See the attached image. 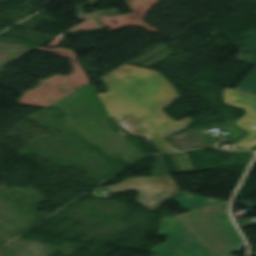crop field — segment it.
I'll return each mask as SVG.
<instances>
[{"label": "crop field", "instance_id": "5142ce71", "mask_svg": "<svg viewBox=\"0 0 256 256\" xmlns=\"http://www.w3.org/2000/svg\"><path fill=\"white\" fill-rule=\"evenodd\" d=\"M230 256H233V255H230Z\"/></svg>", "mask_w": 256, "mask_h": 256}, {"label": "crop field", "instance_id": "22f410ed", "mask_svg": "<svg viewBox=\"0 0 256 256\" xmlns=\"http://www.w3.org/2000/svg\"><path fill=\"white\" fill-rule=\"evenodd\" d=\"M224 94V98H225V102H226V104L228 103V101H227V94H225V93H223Z\"/></svg>", "mask_w": 256, "mask_h": 256}, {"label": "crop field", "instance_id": "cbeb9de0", "mask_svg": "<svg viewBox=\"0 0 256 256\" xmlns=\"http://www.w3.org/2000/svg\"><path fill=\"white\" fill-rule=\"evenodd\" d=\"M99 0H95V3L98 2Z\"/></svg>", "mask_w": 256, "mask_h": 256}, {"label": "crop field", "instance_id": "34b2d1b8", "mask_svg": "<svg viewBox=\"0 0 256 256\" xmlns=\"http://www.w3.org/2000/svg\"><path fill=\"white\" fill-rule=\"evenodd\" d=\"M102 188L112 193L137 189L140 194L138 202L153 212L181 193L171 175L132 178L118 185Z\"/></svg>", "mask_w": 256, "mask_h": 256}, {"label": "crop field", "instance_id": "3316defc", "mask_svg": "<svg viewBox=\"0 0 256 256\" xmlns=\"http://www.w3.org/2000/svg\"><path fill=\"white\" fill-rule=\"evenodd\" d=\"M145 71H150V70L124 64L105 76L107 77V79H110V78H115V77H120V76H125V75L145 72Z\"/></svg>", "mask_w": 256, "mask_h": 256}, {"label": "crop field", "instance_id": "d1516ede", "mask_svg": "<svg viewBox=\"0 0 256 256\" xmlns=\"http://www.w3.org/2000/svg\"><path fill=\"white\" fill-rule=\"evenodd\" d=\"M155 157L157 159V163L153 164L154 169L150 170L151 175L170 174L168 169H167V166L164 162V159H163L162 155L161 154L155 155Z\"/></svg>", "mask_w": 256, "mask_h": 256}, {"label": "crop field", "instance_id": "e52e79f7", "mask_svg": "<svg viewBox=\"0 0 256 256\" xmlns=\"http://www.w3.org/2000/svg\"><path fill=\"white\" fill-rule=\"evenodd\" d=\"M112 119L115 120L121 126H123L133 135L143 136L142 134L150 131L147 128L140 125V123L144 119L134 112L112 117Z\"/></svg>", "mask_w": 256, "mask_h": 256}, {"label": "crop field", "instance_id": "ac0d7876", "mask_svg": "<svg viewBox=\"0 0 256 256\" xmlns=\"http://www.w3.org/2000/svg\"><path fill=\"white\" fill-rule=\"evenodd\" d=\"M227 206L228 203L222 202L175 218L214 256H226L243 244L227 214Z\"/></svg>", "mask_w": 256, "mask_h": 256}, {"label": "crop field", "instance_id": "28ad6ade", "mask_svg": "<svg viewBox=\"0 0 256 256\" xmlns=\"http://www.w3.org/2000/svg\"><path fill=\"white\" fill-rule=\"evenodd\" d=\"M177 154L180 155L185 167H186V170L187 172H194L193 169L190 168V165H189V161L188 159L185 157V153L184 152H180V153H172V154H169L172 161H173V164L175 166V170L177 173H185L181 168L180 164H178V161H177Z\"/></svg>", "mask_w": 256, "mask_h": 256}, {"label": "crop field", "instance_id": "412701ff", "mask_svg": "<svg viewBox=\"0 0 256 256\" xmlns=\"http://www.w3.org/2000/svg\"><path fill=\"white\" fill-rule=\"evenodd\" d=\"M158 235L167 242L152 249L156 256H211L173 217L162 219Z\"/></svg>", "mask_w": 256, "mask_h": 256}, {"label": "crop field", "instance_id": "dd49c442", "mask_svg": "<svg viewBox=\"0 0 256 256\" xmlns=\"http://www.w3.org/2000/svg\"><path fill=\"white\" fill-rule=\"evenodd\" d=\"M243 50L251 53L245 55L242 53ZM253 53L256 54V36L238 50L235 60L256 65V55L252 56ZM252 62H255V64ZM236 89L247 90L250 93L256 92V69Z\"/></svg>", "mask_w": 256, "mask_h": 256}, {"label": "crop field", "instance_id": "8a807250", "mask_svg": "<svg viewBox=\"0 0 256 256\" xmlns=\"http://www.w3.org/2000/svg\"><path fill=\"white\" fill-rule=\"evenodd\" d=\"M100 79L108 92L97 96L110 117L132 111L138 113L145 119L141 125L151 130L144 136L160 152L177 151L163 138L188 127L192 119L186 117L176 122L162 111L180 96L160 73L150 71L110 80L105 76Z\"/></svg>", "mask_w": 256, "mask_h": 256}, {"label": "crop field", "instance_id": "d8731c3e", "mask_svg": "<svg viewBox=\"0 0 256 256\" xmlns=\"http://www.w3.org/2000/svg\"><path fill=\"white\" fill-rule=\"evenodd\" d=\"M173 199L176 200L178 203H180L189 211L206 206V205L222 202L220 200L197 196L187 192H183Z\"/></svg>", "mask_w": 256, "mask_h": 256}, {"label": "crop field", "instance_id": "f4fd0767", "mask_svg": "<svg viewBox=\"0 0 256 256\" xmlns=\"http://www.w3.org/2000/svg\"><path fill=\"white\" fill-rule=\"evenodd\" d=\"M223 92L229 94V105L240 107L245 110L246 114L236 121L237 125L250 133L248 137L239 143L249 145L244 150H249L256 146V129L252 128L256 125V95L249 94L244 91H238L226 88Z\"/></svg>", "mask_w": 256, "mask_h": 256}, {"label": "crop field", "instance_id": "5a996713", "mask_svg": "<svg viewBox=\"0 0 256 256\" xmlns=\"http://www.w3.org/2000/svg\"><path fill=\"white\" fill-rule=\"evenodd\" d=\"M87 5H94V0H87V3L77 5L78 18L82 20L97 18L100 11V18L119 15L117 10L102 9L95 12L85 13V7Z\"/></svg>", "mask_w": 256, "mask_h": 256}]
</instances>
